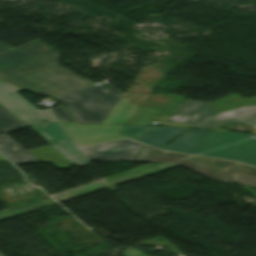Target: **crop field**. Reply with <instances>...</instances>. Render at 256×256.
I'll return each instance as SVG.
<instances>
[{
  "mask_svg": "<svg viewBox=\"0 0 256 256\" xmlns=\"http://www.w3.org/2000/svg\"><path fill=\"white\" fill-rule=\"evenodd\" d=\"M24 91L0 80V103L27 125L45 121H56L49 110H38L18 92Z\"/></svg>",
  "mask_w": 256,
  "mask_h": 256,
  "instance_id": "5",
  "label": "crop field"
},
{
  "mask_svg": "<svg viewBox=\"0 0 256 256\" xmlns=\"http://www.w3.org/2000/svg\"><path fill=\"white\" fill-rule=\"evenodd\" d=\"M63 126L75 139L79 146L97 144L124 138L117 135L123 125H71Z\"/></svg>",
  "mask_w": 256,
  "mask_h": 256,
  "instance_id": "9",
  "label": "crop field"
},
{
  "mask_svg": "<svg viewBox=\"0 0 256 256\" xmlns=\"http://www.w3.org/2000/svg\"><path fill=\"white\" fill-rule=\"evenodd\" d=\"M142 147L131 140H121L80 148L89 161H130Z\"/></svg>",
  "mask_w": 256,
  "mask_h": 256,
  "instance_id": "7",
  "label": "crop field"
},
{
  "mask_svg": "<svg viewBox=\"0 0 256 256\" xmlns=\"http://www.w3.org/2000/svg\"><path fill=\"white\" fill-rule=\"evenodd\" d=\"M36 159L43 160V161H51L60 169L70 166L72 162H70L67 158L61 155L58 151L52 148L50 145L29 150L27 151Z\"/></svg>",
  "mask_w": 256,
  "mask_h": 256,
  "instance_id": "14",
  "label": "crop field"
},
{
  "mask_svg": "<svg viewBox=\"0 0 256 256\" xmlns=\"http://www.w3.org/2000/svg\"><path fill=\"white\" fill-rule=\"evenodd\" d=\"M0 152L14 163L38 161L6 134L0 136Z\"/></svg>",
  "mask_w": 256,
  "mask_h": 256,
  "instance_id": "13",
  "label": "crop field"
},
{
  "mask_svg": "<svg viewBox=\"0 0 256 256\" xmlns=\"http://www.w3.org/2000/svg\"><path fill=\"white\" fill-rule=\"evenodd\" d=\"M133 161L174 162L195 172L227 183L236 163L223 160L155 151L143 147Z\"/></svg>",
  "mask_w": 256,
  "mask_h": 256,
  "instance_id": "4",
  "label": "crop field"
},
{
  "mask_svg": "<svg viewBox=\"0 0 256 256\" xmlns=\"http://www.w3.org/2000/svg\"><path fill=\"white\" fill-rule=\"evenodd\" d=\"M10 49H12V48L0 43V53L5 52Z\"/></svg>",
  "mask_w": 256,
  "mask_h": 256,
  "instance_id": "23",
  "label": "crop field"
},
{
  "mask_svg": "<svg viewBox=\"0 0 256 256\" xmlns=\"http://www.w3.org/2000/svg\"><path fill=\"white\" fill-rule=\"evenodd\" d=\"M230 180L256 187V169L237 163Z\"/></svg>",
  "mask_w": 256,
  "mask_h": 256,
  "instance_id": "16",
  "label": "crop field"
},
{
  "mask_svg": "<svg viewBox=\"0 0 256 256\" xmlns=\"http://www.w3.org/2000/svg\"><path fill=\"white\" fill-rule=\"evenodd\" d=\"M52 111L55 113V115L58 117L60 122L65 123H76L74 119L61 107H57L52 109Z\"/></svg>",
  "mask_w": 256,
  "mask_h": 256,
  "instance_id": "21",
  "label": "crop field"
},
{
  "mask_svg": "<svg viewBox=\"0 0 256 256\" xmlns=\"http://www.w3.org/2000/svg\"><path fill=\"white\" fill-rule=\"evenodd\" d=\"M246 122L256 129V104L209 117L197 129H208L230 122Z\"/></svg>",
  "mask_w": 256,
  "mask_h": 256,
  "instance_id": "10",
  "label": "crop field"
},
{
  "mask_svg": "<svg viewBox=\"0 0 256 256\" xmlns=\"http://www.w3.org/2000/svg\"><path fill=\"white\" fill-rule=\"evenodd\" d=\"M187 153L225 158L256 166V135L215 132Z\"/></svg>",
  "mask_w": 256,
  "mask_h": 256,
  "instance_id": "3",
  "label": "crop field"
},
{
  "mask_svg": "<svg viewBox=\"0 0 256 256\" xmlns=\"http://www.w3.org/2000/svg\"><path fill=\"white\" fill-rule=\"evenodd\" d=\"M172 165H176V164H174V163H159L157 165L151 166V167L146 168V169L155 171V170H159V169H162V168H165V167H169V166H172Z\"/></svg>",
  "mask_w": 256,
  "mask_h": 256,
  "instance_id": "22",
  "label": "crop field"
},
{
  "mask_svg": "<svg viewBox=\"0 0 256 256\" xmlns=\"http://www.w3.org/2000/svg\"><path fill=\"white\" fill-rule=\"evenodd\" d=\"M107 83L56 99L80 124L102 123L123 97Z\"/></svg>",
  "mask_w": 256,
  "mask_h": 256,
  "instance_id": "2",
  "label": "crop field"
},
{
  "mask_svg": "<svg viewBox=\"0 0 256 256\" xmlns=\"http://www.w3.org/2000/svg\"><path fill=\"white\" fill-rule=\"evenodd\" d=\"M185 130L186 128L154 126L136 139V141L161 148Z\"/></svg>",
  "mask_w": 256,
  "mask_h": 256,
  "instance_id": "11",
  "label": "crop field"
},
{
  "mask_svg": "<svg viewBox=\"0 0 256 256\" xmlns=\"http://www.w3.org/2000/svg\"><path fill=\"white\" fill-rule=\"evenodd\" d=\"M148 93H138V94H125L121 99L122 102L132 103L140 105Z\"/></svg>",
  "mask_w": 256,
  "mask_h": 256,
  "instance_id": "20",
  "label": "crop field"
},
{
  "mask_svg": "<svg viewBox=\"0 0 256 256\" xmlns=\"http://www.w3.org/2000/svg\"><path fill=\"white\" fill-rule=\"evenodd\" d=\"M210 104L185 100L170 116H160L154 121L162 125H179L195 127L203 123L213 112L207 109Z\"/></svg>",
  "mask_w": 256,
  "mask_h": 256,
  "instance_id": "8",
  "label": "crop field"
},
{
  "mask_svg": "<svg viewBox=\"0 0 256 256\" xmlns=\"http://www.w3.org/2000/svg\"><path fill=\"white\" fill-rule=\"evenodd\" d=\"M159 113V111L138 107L127 123L151 124Z\"/></svg>",
  "mask_w": 256,
  "mask_h": 256,
  "instance_id": "17",
  "label": "crop field"
},
{
  "mask_svg": "<svg viewBox=\"0 0 256 256\" xmlns=\"http://www.w3.org/2000/svg\"><path fill=\"white\" fill-rule=\"evenodd\" d=\"M5 159L0 156V161H4Z\"/></svg>",
  "mask_w": 256,
  "mask_h": 256,
  "instance_id": "24",
  "label": "crop field"
},
{
  "mask_svg": "<svg viewBox=\"0 0 256 256\" xmlns=\"http://www.w3.org/2000/svg\"><path fill=\"white\" fill-rule=\"evenodd\" d=\"M212 133L213 132L209 131H199L190 129L182 136L177 138L175 141L170 143L168 146H166L164 150L185 153Z\"/></svg>",
  "mask_w": 256,
  "mask_h": 256,
  "instance_id": "12",
  "label": "crop field"
},
{
  "mask_svg": "<svg viewBox=\"0 0 256 256\" xmlns=\"http://www.w3.org/2000/svg\"><path fill=\"white\" fill-rule=\"evenodd\" d=\"M149 127L150 126L125 125L119 134L133 139Z\"/></svg>",
  "mask_w": 256,
  "mask_h": 256,
  "instance_id": "19",
  "label": "crop field"
},
{
  "mask_svg": "<svg viewBox=\"0 0 256 256\" xmlns=\"http://www.w3.org/2000/svg\"><path fill=\"white\" fill-rule=\"evenodd\" d=\"M255 133H256V131H255Z\"/></svg>",
  "mask_w": 256,
  "mask_h": 256,
  "instance_id": "25",
  "label": "crop field"
},
{
  "mask_svg": "<svg viewBox=\"0 0 256 256\" xmlns=\"http://www.w3.org/2000/svg\"><path fill=\"white\" fill-rule=\"evenodd\" d=\"M137 107V105L119 102L103 123H125Z\"/></svg>",
  "mask_w": 256,
  "mask_h": 256,
  "instance_id": "15",
  "label": "crop field"
},
{
  "mask_svg": "<svg viewBox=\"0 0 256 256\" xmlns=\"http://www.w3.org/2000/svg\"><path fill=\"white\" fill-rule=\"evenodd\" d=\"M0 77L50 97L93 84L61 67L53 48L38 40L0 54Z\"/></svg>",
  "mask_w": 256,
  "mask_h": 256,
  "instance_id": "1",
  "label": "crop field"
},
{
  "mask_svg": "<svg viewBox=\"0 0 256 256\" xmlns=\"http://www.w3.org/2000/svg\"><path fill=\"white\" fill-rule=\"evenodd\" d=\"M20 127L24 125L0 106V130L5 132Z\"/></svg>",
  "mask_w": 256,
  "mask_h": 256,
  "instance_id": "18",
  "label": "crop field"
},
{
  "mask_svg": "<svg viewBox=\"0 0 256 256\" xmlns=\"http://www.w3.org/2000/svg\"><path fill=\"white\" fill-rule=\"evenodd\" d=\"M30 128L49 142L52 147L71 160L76 166L88 165L84 156L78 151L79 149L77 150V146L59 123L47 122L31 126Z\"/></svg>",
  "mask_w": 256,
  "mask_h": 256,
  "instance_id": "6",
  "label": "crop field"
}]
</instances>
